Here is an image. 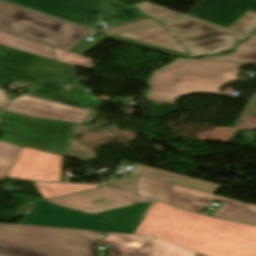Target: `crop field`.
Segmentation results:
<instances>
[{"instance_id":"crop-field-1","label":"crop field","mask_w":256,"mask_h":256,"mask_svg":"<svg viewBox=\"0 0 256 256\" xmlns=\"http://www.w3.org/2000/svg\"><path fill=\"white\" fill-rule=\"evenodd\" d=\"M242 63L178 59L153 73L152 88L146 98L165 101L195 92L219 93L225 84L236 79ZM224 94V93H220Z\"/></svg>"},{"instance_id":"crop-field-2","label":"crop field","mask_w":256,"mask_h":256,"mask_svg":"<svg viewBox=\"0 0 256 256\" xmlns=\"http://www.w3.org/2000/svg\"><path fill=\"white\" fill-rule=\"evenodd\" d=\"M145 218L178 227L210 229L222 235L196 251L209 256H256V227L175 209L154 201Z\"/></svg>"},{"instance_id":"crop-field-3","label":"crop field","mask_w":256,"mask_h":256,"mask_svg":"<svg viewBox=\"0 0 256 256\" xmlns=\"http://www.w3.org/2000/svg\"><path fill=\"white\" fill-rule=\"evenodd\" d=\"M0 30L67 51L91 31L1 1Z\"/></svg>"},{"instance_id":"crop-field-4","label":"crop field","mask_w":256,"mask_h":256,"mask_svg":"<svg viewBox=\"0 0 256 256\" xmlns=\"http://www.w3.org/2000/svg\"><path fill=\"white\" fill-rule=\"evenodd\" d=\"M95 231L0 223V242L64 256H92Z\"/></svg>"},{"instance_id":"crop-field-5","label":"crop field","mask_w":256,"mask_h":256,"mask_svg":"<svg viewBox=\"0 0 256 256\" xmlns=\"http://www.w3.org/2000/svg\"><path fill=\"white\" fill-rule=\"evenodd\" d=\"M5 125L0 140L68 157L73 131L77 124L40 120L3 111Z\"/></svg>"},{"instance_id":"crop-field-6","label":"crop field","mask_w":256,"mask_h":256,"mask_svg":"<svg viewBox=\"0 0 256 256\" xmlns=\"http://www.w3.org/2000/svg\"><path fill=\"white\" fill-rule=\"evenodd\" d=\"M138 194L162 200L177 207L195 212L202 211L212 200L220 201L224 204L213 214V216L256 224V206L254 205L157 180L139 176Z\"/></svg>"},{"instance_id":"crop-field-7","label":"crop field","mask_w":256,"mask_h":256,"mask_svg":"<svg viewBox=\"0 0 256 256\" xmlns=\"http://www.w3.org/2000/svg\"><path fill=\"white\" fill-rule=\"evenodd\" d=\"M85 26L93 12L96 19L113 26L145 19L137 9L117 0H4Z\"/></svg>"},{"instance_id":"crop-field-8","label":"crop field","mask_w":256,"mask_h":256,"mask_svg":"<svg viewBox=\"0 0 256 256\" xmlns=\"http://www.w3.org/2000/svg\"><path fill=\"white\" fill-rule=\"evenodd\" d=\"M139 222L140 220L113 222L98 219L89 214L38 200L33 211L22 218L19 224L133 234Z\"/></svg>"},{"instance_id":"crop-field-9","label":"crop field","mask_w":256,"mask_h":256,"mask_svg":"<svg viewBox=\"0 0 256 256\" xmlns=\"http://www.w3.org/2000/svg\"><path fill=\"white\" fill-rule=\"evenodd\" d=\"M175 38L187 46L189 57L231 50L237 41L246 36L215 27L189 17L163 23Z\"/></svg>"},{"instance_id":"crop-field-10","label":"crop field","mask_w":256,"mask_h":256,"mask_svg":"<svg viewBox=\"0 0 256 256\" xmlns=\"http://www.w3.org/2000/svg\"><path fill=\"white\" fill-rule=\"evenodd\" d=\"M11 78L32 84L59 77L53 60L0 45V88Z\"/></svg>"},{"instance_id":"crop-field-11","label":"crop field","mask_w":256,"mask_h":256,"mask_svg":"<svg viewBox=\"0 0 256 256\" xmlns=\"http://www.w3.org/2000/svg\"><path fill=\"white\" fill-rule=\"evenodd\" d=\"M49 201L85 213H97L137 203V196L103 186L98 189L52 198Z\"/></svg>"},{"instance_id":"crop-field-12","label":"crop field","mask_w":256,"mask_h":256,"mask_svg":"<svg viewBox=\"0 0 256 256\" xmlns=\"http://www.w3.org/2000/svg\"><path fill=\"white\" fill-rule=\"evenodd\" d=\"M64 157L22 147L7 177L30 181H60Z\"/></svg>"},{"instance_id":"crop-field-13","label":"crop field","mask_w":256,"mask_h":256,"mask_svg":"<svg viewBox=\"0 0 256 256\" xmlns=\"http://www.w3.org/2000/svg\"><path fill=\"white\" fill-rule=\"evenodd\" d=\"M4 110L44 120L51 119L80 124H83L93 112L79 110L25 95L13 99Z\"/></svg>"},{"instance_id":"crop-field-14","label":"crop field","mask_w":256,"mask_h":256,"mask_svg":"<svg viewBox=\"0 0 256 256\" xmlns=\"http://www.w3.org/2000/svg\"><path fill=\"white\" fill-rule=\"evenodd\" d=\"M134 234L154 235L193 251L220 236L210 230L194 229L190 231L145 218L141 220Z\"/></svg>"},{"instance_id":"crop-field-15","label":"crop field","mask_w":256,"mask_h":256,"mask_svg":"<svg viewBox=\"0 0 256 256\" xmlns=\"http://www.w3.org/2000/svg\"><path fill=\"white\" fill-rule=\"evenodd\" d=\"M246 11H256V0H201L187 15L228 28Z\"/></svg>"},{"instance_id":"crop-field-16","label":"crop field","mask_w":256,"mask_h":256,"mask_svg":"<svg viewBox=\"0 0 256 256\" xmlns=\"http://www.w3.org/2000/svg\"><path fill=\"white\" fill-rule=\"evenodd\" d=\"M128 172L134 173L135 175L130 174L119 180L109 178L104 182L105 184L127 189L134 192H137L138 175L192 188V189H196V190H200L210 194H212L219 187H221V185L161 171V170L140 165V164H135Z\"/></svg>"},{"instance_id":"crop-field-17","label":"crop field","mask_w":256,"mask_h":256,"mask_svg":"<svg viewBox=\"0 0 256 256\" xmlns=\"http://www.w3.org/2000/svg\"><path fill=\"white\" fill-rule=\"evenodd\" d=\"M108 38L173 56H187L184 46L177 43L172 34L160 26V24L113 35Z\"/></svg>"},{"instance_id":"crop-field-18","label":"crop field","mask_w":256,"mask_h":256,"mask_svg":"<svg viewBox=\"0 0 256 256\" xmlns=\"http://www.w3.org/2000/svg\"><path fill=\"white\" fill-rule=\"evenodd\" d=\"M153 236L106 232L98 244L111 245L109 256H149Z\"/></svg>"},{"instance_id":"crop-field-19","label":"crop field","mask_w":256,"mask_h":256,"mask_svg":"<svg viewBox=\"0 0 256 256\" xmlns=\"http://www.w3.org/2000/svg\"><path fill=\"white\" fill-rule=\"evenodd\" d=\"M33 86L37 87L36 89L29 91L27 94L32 95V96H37L41 98H46L58 102H62L65 104L77 106L80 108H88L64 95V91L62 88V85L60 83V80H52V81H47V82H42V83H37V84H32Z\"/></svg>"},{"instance_id":"crop-field-20","label":"crop field","mask_w":256,"mask_h":256,"mask_svg":"<svg viewBox=\"0 0 256 256\" xmlns=\"http://www.w3.org/2000/svg\"><path fill=\"white\" fill-rule=\"evenodd\" d=\"M0 44L54 60L51 47L1 31Z\"/></svg>"},{"instance_id":"crop-field-21","label":"crop field","mask_w":256,"mask_h":256,"mask_svg":"<svg viewBox=\"0 0 256 256\" xmlns=\"http://www.w3.org/2000/svg\"><path fill=\"white\" fill-rule=\"evenodd\" d=\"M200 59L256 63V38L251 37L250 39L242 42L232 53L228 55Z\"/></svg>"},{"instance_id":"crop-field-22","label":"crop field","mask_w":256,"mask_h":256,"mask_svg":"<svg viewBox=\"0 0 256 256\" xmlns=\"http://www.w3.org/2000/svg\"><path fill=\"white\" fill-rule=\"evenodd\" d=\"M34 184L42 193V195L45 197V199L100 187V185H86V184H60V183H34Z\"/></svg>"},{"instance_id":"crop-field-23","label":"crop field","mask_w":256,"mask_h":256,"mask_svg":"<svg viewBox=\"0 0 256 256\" xmlns=\"http://www.w3.org/2000/svg\"><path fill=\"white\" fill-rule=\"evenodd\" d=\"M150 205L151 203H137L129 207L102 212L100 215L116 221L142 219Z\"/></svg>"},{"instance_id":"crop-field-24","label":"crop field","mask_w":256,"mask_h":256,"mask_svg":"<svg viewBox=\"0 0 256 256\" xmlns=\"http://www.w3.org/2000/svg\"><path fill=\"white\" fill-rule=\"evenodd\" d=\"M150 256H195V252L154 237Z\"/></svg>"},{"instance_id":"crop-field-25","label":"crop field","mask_w":256,"mask_h":256,"mask_svg":"<svg viewBox=\"0 0 256 256\" xmlns=\"http://www.w3.org/2000/svg\"><path fill=\"white\" fill-rule=\"evenodd\" d=\"M22 146L0 141V179L4 180Z\"/></svg>"},{"instance_id":"crop-field-26","label":"crop field","mask_w":256,"mask_h":256,"mask_svg":"<svg viewBox=\"0 0 256 256\" xmlns=\"http://www.w3.org/2000/svg\"><path fill=\"white\" fill-rule=\"evenodd\" d=\"M134 6L139 8L141 12L144 13L145 15L154 17L160 21L185 16L148 2L141 3Z\"/></svg>"},{"instance_id":"crop-field-27","label":"crop field","mask_w":256,"mask_h":256,"mask_svg":"<svg viewBox=\"0 0 256 256\" xmlns=\"http://www.w3.org/2000/svg\"><path fill=\"white\" fill-rule=\"evenodd\" d=\"M54 51H55V56L57 61L69 64L72 66L88 69V70H91L92 68H94L91 64L92 60L89 58H86L84 56H79L64 50L57 49V48H54Z\"/></svg>"},{"instance_id":"crop-field-28","label":"crop field","mask_w":256,"mask_h":256,"mask_svg":"<svg viewBox=\"0 0 256 256\" xmlns=\"http://www.w3.org/2000/svg\"><path fill=\"white\" fill-rule=\"evenodd\" d=\"M256 28V12H246L229 29L243 34H248Z\"/></svg>"},{"instance_id":"crop-field-29","label":"crop field","mask_w":256,"mask_h":256,"mask_svg":"<svg viewBox=\"0 0 256 256\" xmlns=\"http://www.w3.org/2000/svg\"><path fill=\"white\" fill-rule=\"evenodd\" d=\"M0 252L15 256H58L0 243Z\"/></svg>"},{"instance_id":"crop-field-30","label":"crop field","mask_w":256,"mask_h":256,"mask_svg":"<svg viewBox=\"0 0 256 256\" xmlns=\"http://www.w3.org/2000/svg\"><path fill=\"white\" fill-rule=\"evenodd\" d=\"M157 22L158 21H156L155 19L150 18V19H145V20H141V21H137V22H133V23H129V24H125V25H121V26H117V27H113V28H109V29H105V30H101V31L108 33V34H113V33L129 30V29H133V28H137V27H141V26H145V25H149V24H153V23H157Z\"/></svg>"},{"instance_id":"crop-field-31","label":"crop field","mask_w":256,"mask_h":256,"mask_svg":"<svg viewBox=\"0 0 256 256\" xmlns=\"http://www.w3.org/2000/svg\"><path fill=\"white\" fill-rule=\"evenodd\" d=\"M105 38H97L93 42H79L75 47H73L70 52L83 55L90 49H92L94 46H96L98 43L103 41Z\"/></svg>"},{"instance_id":"crop-field-32","label":"crop field","mask_w":256,"mask_h":256,"mask_svg":"<svg viewBox=\"0 0 256 256\" xmlns=\"http://www.w3.org/2000/svg\"><path fill=\"white\" fill-rule=\"evenodd\" d=\"M57 62V61H56ZM57 66L60 70L61 77L63 80L75 82L76 80V73L75 68L60 62H57Z\"/></svg>"},{"instance_id":"crop-field-33","label":"crop field","mask_w":256,"mask_h":256,"mask_svg":"<svg viewBox=\"0 0 256 256\" xmlns=\"http://www.w3.org/2000/svg\"><path fill=\"white\" fill-rule=\"evenodd\" d=\"M242 113L245 114H256V94L253 96V98L249 101L246 108Z\"/></svg>"},{"instance_id":"crop-field-34","label":"crop field","mask_w":256,"mask_h":256,"mask_svg":"<svg viewBox=\"0 0 256 256\" xmlns=\"http://www.w3.org/2000/svg\"><path fill=\"white\" fill-rule=\"evenodd\" d=\"M7 102L6 96L3 91L0 90V109L5 105Z\"/></svg>"},{"instance_id":"crop-field-35","label":"crop field","mask_w":256,"mask_h":256,"mask_svg":"<svg viewBox=\"0 0 256 256\" xmlns=\"http://www.w3.org/2000/svg\"><path fill=\"white\" fill-rule=\"evenodd\" d=\"M138 202H152L151 200L138 197Z\"/></svg>"},{"instance_id":"crop-field-36","label":"crop field","mask_w":256,"mask_h":256,"mask_svg":"<svg viewBox=\"0 0 256 256\" xmlns=\"http://www.w3.org/2000/svg\"><path fill=\"white\" fill-rule=\"evenodd\" d=\"M151 102H154V103H162V104H170V105H173L174 103H166V102H160V101H151Z\"/></svg>"},{"instance_id":"crop-field-37","label":"crop field","mask_w":256,"mask_h":256,"mask_svg":"<svg viewBox=\"0 0 256 256\" xmlns=\"http://www.w3.org/2000/svg\"><path fill=\"white\" fill-rule=\"evenodd\" d=\"M0 256H9V255H5V254H0Z\"/></svg>"},{"instance_id":"crop-field-38","label":"crop field","mask_w":256,"mask_h":256,"mask_svg":"<svg viewBox=\"0 0 256 256\" xmlns=\"http://www.w3.org/2000/svg\"><path fill=\"white\" fill-rule=\"evenodd\" d=\"M253 35H255V36H256V32H255Z\"/></svg>"}]
</instances>
